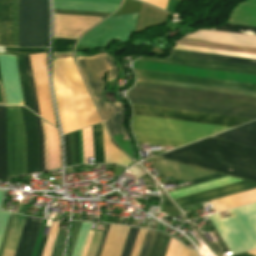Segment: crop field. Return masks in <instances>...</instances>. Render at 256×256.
I'll return each mask as SVG.
<instances>
[{
  "label": "crop field",
  "mask_w": 256,
  "mask_h": 256,
  "mask_svg": "<svg viewBox=\"0 0 256 256\" xmlns=\"http://www.w3.org/2000/svg\"><path fill=\"white\" fill-rule=\"evenodd\" d=\"M16 62H17L18 73H19V78H20V83H21V88L23 93L24 104L25 106L33 110V104H32V98H31V92H30V86L28 81L24 55H16Z\"/></svg>",
  "instance_id": "27"
},
{
  "label": "crop field",
  "mask_w": 256,
  "mask_h": 256,
  "mask_svg": "<svg viewBox=\"0 0 256 256\" xmlns=\"http://www.w3.org/2000/svg\"><path fill=\"white\" fill-rule=\"evenodd\" d=\"M66 151V166L71 165L69 134L64 136Z\"/></svg>",
  "instance_id": "46"
},
{
  "label": "crop field",
  "mask_w": 256,
  "mask_h": 256,
  "mask_svg": "<svg viewBox=\"0 0 256 256\" xmlns=\"http://www.w3.org/2000/svg\"><path fill=\"white\" fill-rule=\"evenodd\" d=\"M184 38L256 48V37L254 36L223 33L212 30H200Z\"/></svg>",
  "instance_id": "16"
},
{
  "label": "crop field",
  "mask_w": 256,
  "mask_h": 256,
  "mask_svg": "<svg viewBox=\"0 0 256 256\" xmlns=\"http://www.w3.org/2000/svg\"><path fill=\"white\" fill-rule=\"evenodd\" d=\"M199 235L204 239V241L209 245V247L211 248V250L217 255V256H222L221 254V250L218 248V246L216 245V243H209L206 238L201 234L200 231L196 230Z\"/></svg>",
  "instance_id": "47"
},
{
  "label": "crop field",
  "mask_w": 256,
  "mask_h": 256,
  "mask_svg": "<svg viewBox=\"0 0 256 256\" xmlns=\"http://www.w3.org/2000/svg\"><path fill=\"white\" fill-rule=\"evenodd\" d=\"M174 48L175 49H183V50H191V51H199V52H207V53H215V54H222V55H230V56H238V57H246V58L256 59V55H249V54L233 53V52L218 51V50L203 49V48H195V47L180 46V45H176Z\"/></svg>",
  "instance_id": "34"
},
{
  "label": "crop field",
  "mask_w": 256,
  "mask_h": 256,
  "mask_svg": "<svg viewBox=\"0 0 256 256\" xmlns=\"http://www.w3.org/2000/svg\"><path fill=\"white\" fill-rule=\"evenodd\" d=\"M46 239H47V238H44V237L41 238V242H40V245H39L38 252H37V255H36V256H41V255H42V252H43V249H44V246H45Z\"/></svg>",
  "instance_id": "53"
},
{
  "label": "crop field",
  "mask_w": 256,
  "mask_h": 256,
  "mask_svg": "<svg viewBox=\"0 0 256 256\" xmlns=\"http://www.w3.org/2000/svg\"><path fill=\"white\" fill-rule=\"evenodd\" d=\"M93 232L94 231L90 232V235H89V238H88V241H87V244H86L83 256H86V254H87V251H88V248H89V245H90V242H91V238H92Z\"/></svg>",
  "instance_id": "54"
},
{
  "label": "crop field",
  "mask_w": 256,
  "mask_h": 256,
  "mask_svg": "<svg viewBox=\"0 0 256 256\" xmlns=\"http://www.w3.org/2000/svg\"><path fill=\"white\" fill-rule=\"evenodd\" d=\"M136 76L256 92V85L133 69Z\"/></svg>",
  "instance_id": "14"
},
{
  "label": "crop field",
  "mask_w": 256,
  "mask_h": 256,
  "mask_svg": "<svg viewBox=\"0 0 256 256\" xmlns=\"http://www.w3.org/2000/svg\"><path fill=\"white\" fill-rule=\"evenodd\" d=\"M0 80H1V75H0ZM2 81V80H1Z\"/></svg>",
  "instance_id": "61"
},
{
  "label": "crop field",
  "mask_w": 256,
  "mask_h": 256,
  "mask_svg": "<svg viewBox=\"0 0 256 256\" xmlns=\"http://www.w3.org/2000/svg\"><path fill=\"white\" fill-rule=\"evenodd\" d=\"M54 13L107 17L109 14L54 10Z\"/></svg>",
  "instance_id": "44"
},
{
  "label": "crop field",
  "mask_w": 256,
  "mask_h": 256,
  "mask_svg": "<svg viewBox=\"0 0 256 256\" xmlns=\"http://www.w3.org/2000/svg\"><path fill=\"white\" fill-rule=\"evenodd\" d=\"M0 46L18 47L17 0H0Z\"/></svg>",
  "instance_id": "11"
},
{
  "label": "crop field",
  "mask_w": 256,
  "mask_h": 256,
  "mask_svg": "<svg viewBox=\"0 0 256 256\" xmlns=\"http://www.w3.org/2000/svg\"><path fill=\"white\" fill-rule=\"evenodd\" d=\"M73 1H86V2H99V3H113L119 4L120 0H73Z\"/></svg>",
  "instance_id": "51"
},
{
  "label": "crop field",
  "mask_w": 256,
  "mask_h": 256,
  "mask_svg": "<svg viewBox=\"0 0 256 256\" xmlns=\"http://www.w3.org/2000/svg\"><path fill=\"white\" fill-rule=\"evenodd\" d=\"M234 256H250V255H247L245 253H242V254H238V255H234Z\"/></svg>",
  "instance_id": "60"
},
{
  "label": "crop field",
  "mask_w": 256,
  "mask_h": 256,
  "mask_svg": "<svg viewBox=\"0 0 256 256\" xmlns=\"http://www.w3.org/2000/svg\"><path fill=\"white\" fill-rule=\"evenodd\" d=\"M162 199H163V203H162L163 205L174 207L167 197H162Z\"/></svg>",
  "instance_id": "55"
},
{
  "label": "crop field",
  "mask_w": 256,
  "mask_h": 256,
  "mask_svg": "<svg viewBox=\"0 0 256 256\" xmlns=\"http://www.w3.org/2000/svg\"><path fill=\"white\" fill-rule=\"evenodd\" d=\"M48 154H49V170L60 168L61 151L57 129L48 125Z\"/></svg>",
  "instance_id": "25"
},
{
  "label": "crop field",
  "mask_w": 256,
  "mask_h": 256,
  "mask_svg": "<svg viewBox=\"0 0 256 256\" xmlns=\"http://www.w3.org/2000/svg\"><path fill=\"white\" fill-rule=\"evenodd\" d=\"M222 176H225V175L216 174V175H212V176L192 180V183L197 184V183H201V182L208 181V180H211V179L219 178V177H222ZM193 184H191V185H193ZM187 186H190V185H187ZM184 187H186V186H184Z\"/></svg>",
  "instance_id": "50"
},
{
  "label": "crop field",
  "mask_w": 256,
  "mask_h": 256,
  "mask_svg": "<svg viewBox=\"0 0 256 256\" xmlns=\"http://www.w3.org/2000/svg\"><path fill=\"white\" fill-rule=\"evenodd\" d=\"M13 215L14 214H12V213L9 214V218H8L6 228H5V231H4V234H3V238H2V241H1V244H0V256L2 254V250H3L4 244H5L6 238H7V234H8L11 222H12Z\"/></svg>",
  "instance_id": "45"
},
{
  "label": "crop field",
  "mask_w": 256,
  "mask_h": 256,
  "mask_svg": "<svg viewBox=\"0 0 256 256\" xmlns=\"http://www.w3.org/2000/svg\"><path fill=\"white\" fill-rule=\"evenodd\" d=\"M25 57H26V63H27L29 81H30V86H31V92H32V98H33L34 110H35V113L38 114L37 102H36V97H35V91H34V85H33V80H32V74H31V69H30V63H29V57H28V55H25ZM38 115H39V114H38Z\"/></svg>",
  "instance_id": "43"
},
{
  "label": "crop field",
  "mask_w": 256,
  "mask_h": 256,
  "mask_svg": "<svg viewBox=\"0 0 256 256\" xmlns=\"http://www.w3.org/2000/svg\"><path fill=\"white\" fill-rule=\"evenodd\" d=\"M214 233L217 235V237L219 238V242H217L219 244V246L221 247V249H225L226 246L224 245V243L222 242V240L220 239V237L218 236V234L216 233V231H214Z\"/></svg>",
  "instance_id": "56"
},
{
  "label": "crop field",
  "mask_w": 256,
  "mask_h": 256,
  "mask_svg": "<svg viewBox=\"0 0 256 256\" xmlns=\"http://www.w3.org/2000/svg\"><path fill=\"white\" fill-rule=\"evenodd\" d=\"M92 134L94 161L95 163H104L102 127L100 124L92 127Z\"/></svg>",
  "instance_id": "29"
},
{
  "label": "crop field",
  "mask_w": 256,
  "mask_h": 256,
  "mask_svg": "<svg viewBox=\"0 0 256 256\" xmlns=\"http://www.w3.org/2000/svg\"><path fill=\"white\" fill-rule=\"evenodd\" d=\"M36 117V122L38 126L39 136H40V171L44 170V154H43V134L41 128L40 118Z\"/></svg>",
  "instance_id": "41"
},
{
  "label": "crop field",
  "mask_w": 256,
  "mask_h": 256,
  "mask_svg": "<svg viewBox=\"0 0 256 256\" xmlns=\"http://www.w3.org/2000/svg\"><path fill=\"white\" fill-rule=\"evenodd\" d=\"M127 96L129 97L130 101L135 104L237 116V117H242L250 120L256 119V111L246 109V108H241V107L185 101V100L130 94V93H127Z\"/></svg>",
  "instance_id": "7"
},
{
  "label": "crop field",
  "mask_w": 256,
  "mask_h": 256,
  "mask_svg": "<svg viewBox=\"0 0 256 256\" xmlns=\"http://www.w3.org/2000/svg\"><path fill=\"white\" fill-rule=\"evenodd\" d=\"M130 93L186 99L193 101L247 107L256 110V99L245 96L136 83Z\"/></svg>",
  "instance_id": "5"
},
{
  "label": "crop field",
  "mask_w": 256,
  "mask_h": 256,
  "mask_svg": "<svg viewBox=\"0 0 256 256\" xmlns=\"http://www.w3.org/2000/svg\"><path fill=\"white\" fill-rule=\"evenodd\" d=\"M19 47L46 46L47 0H18Z\"/></svg>",
  "instance_id": "4"
},
{
  "label": "crop field",
  "mask_w": 256,
  "mask_h": 256,
  "mask_svg": "<svg viewBox=\"0 0 256 256\" xmlns=\"http://www.w3.org/2000/svg\"><path fill=\"white\" fill-rule=\"evenodd\" d=\"M159 157L256 182V148L207 138Z\"/></svg>",
  "instance_id": "1"
},
{
  "label": "crop field",
  "mask_w": 256,
  "mask_h": 256,
  "mask_svg": "<svg viewBox=\"0 0 256 256\" xmlns=\"http://www.w3.org/2000/svg\"><path fill=\"white\" fill-rule=\"evenodd\" d=\"M212 30H221V31H225V32L256 36V27L245 26V25L225 23L224 25H222L220 27L212 28Z\"/></svg>",
  "instance_id": "31"
},
{
  "label": "crop field",
  "mask_w": 256,
  "mask_h": 256,
  "mask_svg": "<svg viewBox=\"0 0 256 256\" xmlns=\"http://www.w3.org/2000/svg\"><path fill=\"white\" fill-rule=\"evenodd\" d=\"M80 222H73V228H72V234H71V240H70V244H69V248H68V252H67V256H71L80 227H81Z\"/></svg>",
  "instance_id": "40"
},
{
  "label": "crop field",
  "mask_w": 256,
  "mask_h": 256,
  "mask_svg": "<svg viewBox=\"0 0 256 256\" xmlns=\"http://www.w3.org/2000/svg\"><path fill=\"white\" fill-rule=\"evenodd\" d=\"M172 55L256 66V60L172 49Z\"/></svg>",
  "instance_id": "24"
},
{
  "label": "crop field",
  "mask_w": 256,
  "mask_h": 256,
  "mask_svg": "<svg viewBox=\"0 0 256 256\" xmlns=\"http://www.w3.org/2000/svg\"><path fill=\"white\" fill-rule=\"evenodd\" d=\"M41 221L40 219L26 218L15 256H31Z\"/></svg>",
  "instance_id": "18"
},
{
  "label": "crop field",
  "mask_w": 256,
  "mask_h": 256,
  "mask_svg": "<svg viewBox=\"0 0 256 256\" xmlns=\"http://www.w3.org/2000/svg\"><path fill=\"white\" fill-rule=\"evenodd\" d=\"M136 14L113 17L85 34L80 44L90 48H107L113 41L126 43L133 35Z\"/></svg>",
  "instance_id": "8"
},
{
  "label": "crop field",
  "mask_w": 256,
  "mask_h": 256,
  "mask_svg": "<svg viewBox=\"0 0 256 256\" xmlns=\"http://www.w3.org/2000/svg\"><path fill=\"white\" fill-rule=\"evenodd\" d=\"M148 200H158V201H160V197L148 196Z\"/></svg>",
  "instance_id": "58"
},
{
  "label": "crop field",
  "mask_w": 256,
  "mask_h": 256,
  "mask_svg": "<svg viewBox=\"0 0 256 256\" xmlns=\"http://www.w3.org/2000/svg\"><path fill=\"white\" fill-rule=\"evenodd\" d=\"M137 228L130 227L121 256H130L138 233Z\"/></svg>",
  "instance_id": "35"
},
{
  "label": "crop field",
  "mask_w": 256,
  "mask_h": 256,
  "mask_svg": "<svg viewBox=\"0 0 256 256\" xmlns=\"http://www.w3.org/2000/svg\"><path fill=\"white\" fill-rule=\"evenodd\" d=\"M239 181H243V180H239V179H236L233 177L226 176V177H222V178H219L216 180L205 182V183H202L199 185H195V186H192L189 188L179 189V190H175L172 192H168V194L172 197V199H174V198L190 195L193 193L205 191L208 189L224 186V185L239 182Z\"/></svg>",
  "instance_id": "23"
},
{
  "label": "crop field",
  "mask_w": 256,
  "mask_h": 256,
  "mask_svg": "<svg viewBox=\"0 0 256 256\" xmlns=\"http://www.w3.org/2000/svg\"><path fill=\"white\" fill-rule=\"evenodd\" d=\"M0 179H6L5 107H0Z\"/></svg>",
  "instance_id": "28"
},
{
  "label": "crop field",
  "mask_w": 256,
  "mask_h": 256,
  "mask_svg": "<svg viewBox=\"0 0 256 256\" xmlns=\"http://www.w3.org/2000/svg\"><path fill=\"white\" fill-rule=\"evenodd\" d=\"M109 226L110 225H108V224L105 225V228H104V231H103V234H102V238H101V241H100V244H99L96 256H100V254H101V251H102V248H103V245H104V242H105V238H106Z\"/></svg>",
  "instance_id": "48"
},
{
  "label": "crop field",
  "mask_w": 256,
  "mask_h": 256,
  "mask_svg": "<svg viewBox=\"0 0 256 256\" xmlns=\"http://www.w3.org/2000/svg\"><path fill=\"white\" fill-rule=\"evenodd\" d=\"M256 188L255 183L243 181L224 187L212 189L209 191L193 194L190 196L174 199L175 203L179 206L180 209L193 206L196 204L204 203L242 191L250 190Z\"/></svg>",
  "instance_id": "13"
},
{
  "label": "crop field",
  "mask_w": 256,
  "mask_h": 256,
  "mask_svg": "<svg viewBox=\"0 0 256 256\" xmlns=\"http://www.w3.org/2000/svg\"><path fill=\"white\" fill-rule=\"evenodd\" d=\"M76 165L79 164L77 131L74 132Z\"/></svg>",
  "instance_id": "52"
},
{
  "label": "crop field",
  "mask_w": 256,
  "mask_h": 256,
  "mask_svg": "<svg viewBox=\"0 0 256 256\" xmlns=\"http://www.w3.org/2000/svg\"><path fill=\"white\" fill-rule=\"evenodd\" d=\"M157 224H158V222H154L153 223V225H150V227L149 228H151V229H155L156 230V228H157Z\"/></svg>",
  "instance_id": "59"
},
{
  "label": "crop field",
  "mask_w": 256,
  "mask_h": 256,
  "mask_svg": "<svg viewBox=\"0 0 256 256\" xmlns=\"http://www.w3.org/2000/svg\"><path fill=\"white\" fill-rule=\"evenodd\" d=\"M245 253L250 254V255H252V256H256V249L251 250V251H247V252H245Z\"/></svg>",
  "instance_id": "57"
},
{
  "label": "crop field",
  "mask_w": 256,
  "mask_h": 256,
  "mask_svg": "<svg viewBox=\"0 0 256 256\" xmlns=\"http://www.w3.org/2000/svg\"><path fill=\"white\" fill-rule=\"evenodd\" d=\"M102 126L104 137L105 163H117L125 166L129 165L131 161L127 159L125 155L113 145L103 123Z\"/></svg>",
  "instance_id": "26"
},
{
  "label": "crop field",
  "mask_w": 256,
  "mask_h": 256,
  "mask_svg": "<svg viewBox=\"0 0 256 256\" xmlns=\"http://www.w3.org/2000/svg\"><path fill=\"white\" fill-rule=\"evenodd\" d=\"M231 203L236 206L248 204L256 201V189L228 196Z\"/></svg>",
  "instance_id": "32"
},
{
  "label": "crop field",
  "mask_w": 256,
  "mask_h": 256,
  "mask_svg": "<svg viewBox=\"0 0 256 256\" xmlns=\"http://www.w3.org/2000/svg\"><path fill=\"white\" fill-rule=\"evenodd\" d=\"M137 82L256 97V93L248 92V91L232 90V89L163 81V80H156V79L137 77Z\"/></svg>",
  "instance_id": "21"
},
{
  "label": "crop field",
  "mask_w": 256,
  "mask_h": 256,
  "mask_svg": "<svg viewBox=\"0 0 256 256\" xmlns=\"http://www.w3.org/2000/svg\"><path fill=\"white\" fill-rule=\"evenodd\" d=\"M67 231L59 230L51 256H62L65 246Z\"/></svg>",
  "instance_id": "36"
},
{
  "label": "crop field",
  "mask_w": 256,
  "mask_h": 256,
  "mask_svg": "<svg viewBox=\"0 0 256 256\" xmlns=\"http://www.w3.org/2000/svg\"><path fill=\"white\" fill-rule=\"evenodd\" d=\"M132 105H133V112L134 114H137V115L153 116V117L184 120V121L207 123V124L230 126V127H235L237 125L250 121V120L237 118V117L213 115V114H206V113L182 111V110L135 105V104H132Z\"/></svg>",
  "instance_id": "9"
},
{
  "label": "crop field",
  "mask_w": 256,
  "mask_h": 256,
  "mask_svg": "<svg viewBox=\"0 0 256 256\" xmlns=\"http://www.w3.org/2000/svg\"><path fill=\"white\" fill-rule=\"evenodd\" d=\"M75 41L76 40L72 39L55 38L53 51L72 50L70 46L73 45Z\"/></svg>",
  "instance_id": "38"
},
{
  "label": "crop field",
  "mask_w": 256,
  "mask_h": 256,
  "mask_svg": "<svg viewBox=\"0 0 256 256\" xmlns=\"http://www.w3.org/2000/svg\"><path fill=\"white\" fill-rule=\"evenodd\" d=\"M154 232L155 231H151V230L146 231L139 256H147Z\"/></svg>",
  "instance_id": "39"
},
{
  "label": "crop field",
  "mask_w": 256,
  "mask_h": 256,
  "mask_svg": "<svg viewBox=\"0 0 256 256\" xmlns=\"http://www.w3.org/2000/svg\"><path fill=\"white\" fill-rule=\"evenodd\" d=\"M213 137L256 147V121L239 126Z\"/></svg>",
  "instance_id": "19"
},
{
  "label": "crop field",
  "mask_w": 256,
  "mask_h": 256,
  "mask_svg": "<svg viewBox=\"0 0 256 256\" xmlns=\"http://www.w3.org/2000/svg\"><path fill=\"white\" fill-rule=\"evenodd\" d=\"M81 135H82L83 159H84V164H86L87 163L86 157H93L91 127L82 129Z\"/></svg>",
  "instance_id": "33"
},
{
  "label": "crop field",
  "mask_w": 256,
  "mask_h": 256,
  "mask_svg": "<svg viewBox=\"0 0 256 256\" xmlns=\"http://www.w3.org/2000/svg\"><path fill=\"white\" fill-rule=\"evenodd\" d=\"M76 59L112 136L127 132L122 126L125 112L121 103L108 104L102 97L105 87V81H102V77L108 70L107 82L119 76L113 57L101 53L94 57H76Z\"/></svg>",
  "instance_id": "3"
},
{
  "label": "crop field",
  "mask_w": 256,
  "mask_h": 256,
  "mask_svg": "<svg viewBox=\"0 0 256 256\" xmlns=\"http://www.w3.org/2000/svg\"><path fill=\"white\" fill-rule=\"evenodd\" d=\"M46 52L45 49H20V48H5V53L13 54H29V53H38Z\"/></svg>",
  "instance_id": "42"
},
{
  "label": "crop field",
  "mask_w": 256,
  "mask_h": 256,
  "mask_svg": "<svg viewBox=\"0 0 256 256\" xmlns=\"http://www.w3.org/2000/svg\"><path fill=\"white\" fill-rule=\"evenodd\" d=\"M170 236L155 232L148 256H165Z\"/></svg>",
  "instance_id": "30"
},
{
  "label": "crop field",
  "mask_w": 256,
  "mask_h": 256,
  "mask_svg": "<svg viewBox=\"0 0 256 256\" xmlns=\"http://www.w3.org/2000/svg\"><path fill=\"white\" fill-rule=\"evenodd\" d=\"M7 178L26 174L25 136L19 107H6Z\"/></svg>",
  "instance_id": "6"
},
{
  "label": "crop field",
  "mask_w": 256,
  "mask_h": 256,
  "mask_svg": "<svg viewBox=\"0 0 256 256\" xmlns=\"http://www.w3.org/2000/svg\"><path fill=\"white\" fill-rule=\"evenodd\" d=\"M128 228L111 225L101 256H120Z\"/></svg>",
  "instance_id": "20"
},
{
  "label": "crop field",
  "mask_w": 256,
  "mask_h": 256,
  "mask_svg": "<svg viewBox=\"0 0 256 256\" xmlns=\"http://www.w3.org/2000/svg\"><path fill=\"white\" fill-rule=\"evenodd\" d=\"M54 9L112 13L118 5L53 0Z\"/></svg>",
  "instance_id": "22"
},
{
  "label": "crop field",
  "mask_w": 256,
  "mask_h": 256,
  "mask_svg": "<svg viewBox=\"0 0 256 256\" xmlns=\"http://www.w3.org/2000/svg\"><path fill=\"white\" fill-rule=\"evenodd\" d=\"M139 60L256 75V67L214 62V61H206V60H199V59L172 56L170 59L145 57Z\"/></svg>",
  "instance_id": "12"
},
{
  "label": "crop field",
  "mask_w": 256,
  "mask_h": 256,
  "mask_svg": "<svg viewBox=\"0 0 256 256\" xmlns=\"http://www.w3.org/2000/svg\"><path fill=\"white\" fill-rule=\"evenodd\" d=\"M230 127L133 115L132 131L137 142L179 147Z\"/></svg>",
  "instance_id": "2"
},
{
  "label": "crop field",
  "mask_w": 256,
  "mask_h": 256,
  "mask_svg": "<svg viewBox=\"0 0 256 256\" xmlns=\"http://www.w3.org/2000/svg\"><path fill=\"white\" fill-rule=\"evenodd\" d=\"M29 56L31 60L40 117L55 125L52 102L48 86L46 53Z\"/></svg>",
  "instance_id": "10"
},
{
  "label": "crop field",
  "mask_w": 256,
  "mask_h": 256,
  "mask_svg": "<svg viewBox=\"0 0 256 256\" xmlns=\"http://www.w3.org/2000/svg\"><path fill=\"white\" fill-rule=\"evenodd\" d=\"M59 223L60 222H53L52 223L51 230H50V233H49V236H48V239H47V242H46V246H45V249H44V252H43L42 256H50L51 249H52V246H53V243H54V240H55V236H56V233H57V230H58Z\"/></svg>",
  "instance_id": "37"
},
{
  "label": "crop field",
  "mask_w": 256,
  "mask_h": 256,
  "mask_svg": "<svg viewBox=\"0 0 256 256\" xmlns=\"http://www.w3.org/2000/svg\"><path fill=\"white\" fill-rule=\"evenodd\" d=\"M151 165L168 180L165 182H170L168 179L170 177H172L174 181L179 180L180 182H186L192 179L216 174L163 159L155 161L151 163Z\"/></svg>",
  "instance_id": "15"
},
{
  "label": "crop field",
  "mask_w": 256,
  "mask_h": 256,
  "mask_svg": "<svg viewBox=\"0 0 256 256\" xmlns=\"http://www.w3.org/2000/svg\"><path fill=\"white\" fill-rule=\"evenodd\" d=\"M143 1L153 4V5L160 7L164 10L166 8V3H167V0H143Z\"/></svg>",
  "instance_id": "49"
},
{
  "label": "crop field",
  "mask_w": 256,
  "mask_h": 256,
  "mask_svg": "<svg viewBox=\"0 0 256 256\" xmlns=\"http://www.w3.org/2000/svg\"><path fill=\"white\" fill-rule=\"evenodd\" d=\"M21 110L26 135L27 174H29L30 163L39 161V136L34 114L22 107Z\"/></svg>",
  "instance_id": "17"
}]
</instances>
